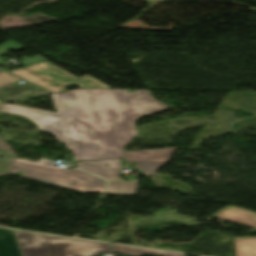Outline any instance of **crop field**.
Here are the masks:
<instances>
[{
  "label": "crop field",
  "instance_id": "11",
  "mask_svg": "<svg viewBox=\"0 0 256 256\" xmlns=\"http://www.w3.org/2000/svg\"><path fill=\"white\" fill-rule=\"evenodd\" d=\"M137 188V180L130 182H110L108 183V194H121V195H132L135 193Z\"/></svg>",
  "mask_w": 256,
  "mask_h": 256
},
{
  "label": "crop field",
  "instance_id": "14",
  "mask_svg": "<svg viewBox=\"0 0 256 256\" xmlns=\"http://www.w3.org/2000/svg\"><path fill=\"white\" fill-rule=\"evenodd\" d=\"M15 161H17V162H23V163H29V164H35V165H41V166H43V164H46L47 167H52V168H56V169H63V170H65L64 168L53 166V165H52V161H50V160H45V159H41V160L38 161V162H30V161L19 160V159H16Z\"/></svg>",
  "mask_w": 256,
  "mask_h": 256
},
{
  "label": "crop field",
  "instance_id": "13",
  "mask_svg": "<svg viewBox=\"0 0 256 256\" xmlns=\"http://www.w3.org/2000/svg\"><path fill=\"white\" fill-rule=\"evenodd\" d=\"M20 80L19 78L11 75L10 73L4 71V72H0V87L5 85V84H9L11 82ZM0 104H3V102H0Z\"/></svg>",
  "mask_w": 256,
  "mask_h": 256
},
{
  "label": "crop field",
  "instance_id": "15",
  "mask_svg": "<svg viewBox=\"0 0 256 256\" xmlns=\"http://www.w3.org/2000/svg\"><path fill=\"white\" fill-rule=\"evenodd\" d=\"M5 153H7V152L0 150V156H2Z\"/></svg>",
  "mask_w": 256,
  "mask_h": 256
},
{
  "label": "crop field",
  "instance_id": "9",
  "mask_svg": "<svg viewBox=\"0 0 256 256\" xmlns=\"http://www.w3.org/2000/svg\"><path fill=\"white\" fill-rule=\"evenodd\" d=\"M9 85H11L12 88L4 87L2 89L4 91L0 90V100L3 101L4 103H7V101L14 99L16 95L28 93V92H38L43 95L52 94L39 86H31L29 83L23 84L25 86L24 88H22L23 87L22 85H18L17 82H14ZM14 85H17V87H14Z\"/></svg>",
  "mask_w": 256,
  "mask_h": 256
},
{
  "label": "crop field",
  "instance_id": "3",
  "mask_svg": "<svg viewBox=\"0 0 256 256\" xmlns=\"http://www.w3.org/2000/svg\"><path fill=\"white\" fill-rule=\"evenodd\" d=\"M42 59L44 58L37 55L20 61V63L25 66ZM9 71L52 93L64 91L67 86L71 85H78L82 89H112L90 75L77 78L62 69H56L52 63L45 59L34 65Z\"/></svg>",
  "mask_w": 256,
  "mask_h": 256
},
{
  "label": "crop field",
  "instance_id": "10",
  "mask_svg": "<svg viewBox=\"0 0 256 256\" xmlns=\"http://www.w3.org/2000/svg\"><path fill=\"white\" fill-rule=\"evenodd\" d=\"M112 248H113V252L115 253H120V254H125L130 256H140L142 254L154 255V256H184L181 254L159 252V251L124 247V246H117V245H112Z\"/></svg>",
  "mask_w": 256,
  "mask_h": 256
},
{
  "label": "crop field",
  "instance_id": "16",
  "mask_svg": "<svg viewBox=\"0 0 256 256\" xmlns=\"http://www.w3.org/2000/svg\"><path fill=\"white\" fill-rule=\"evenodd\" d=\"M0 71H3V69L0 68Z\"/></svg>",
  "mask_w": 256,
  "mask_h": 256
},
{
  "label": "crop field",
  "instance_id": "7",
  "mask_svg": "<svg viewBox=\"0 0 256 256\" xmlns=\"http://www.w3.org/2000/svg\"><path fill=\"white\" fill-rule=\"evenodd\" d=\"M78 168L97 175L105 180H118L120 172V161L119 159H111L98 162H81L77 163ZM88 164V165H85ZM106 165H109L106 167Z\"/></svg>",
  "mask_w": 256,
  "mask_h": 256
},
{
  "label": "crop field",
  "instance_id": "8",
  "mask_svg": "<svg viewBox=\"0 0 256 256\" xmlns=\"http://www.w3.org/2000/svg\"><path fill=\"white\" fill-rule=\"evenodd\" d=\"M0 256H23L13 231L0 229Z\"/></svg>",
  "mask_w": 256,
  "mask_h": 256
},
{
  "label": "crop field",
  "instance_id": "1",
  "mask_svg": "<svg viewBox=\"0 0 256 256\" xmlns=\"http://www.w3.org/2000/svg\"><path fill=\"white\" fill-rule=\"evenodd\" d=\"M52 96L57 114L9 104L0 105V112L22 115L39 130L54 133L77 162L124 157L121 148L137 134L134 121L167 110L145 90H76Z\"/></svg>",
  "mask_w": 256,
  "mask_h": 256
},
{
  "label": "crop field",
  "instance_id": "6",
  "mask_svg": "<svg viewBox=\"0 0 256 256\" xmlns=\"http://www.w3.org/2000/svg\"><path fill=\"white\" fill-rule=\"evenodd\" d=\"M177 148L124 152L127 162H137L135 167L146 175H155L158 169L168 163Z\"/></svg>",
  "mask_w": 256,
  "mask_h": 256
},
{
  "label": "crop field",
  "instance_id": "12",
  "mask_svg": "<svg viewBox=\"0 0 256 256\" xmlns=\"http://www.w3.org/2000/svg\"><path fill=\"white\" fill-rule=\"evenodd\" d=\"M21 48H22V46L14 43L12 41L6 42V43L0 45V56L6 54L7 53L6 51L9 50V49L17 51V50H19ZM2 63H5V61L0 59V64H2Z\"/></svg>",
  "mask_w": 256,
  "mask_h": 256
},
{
  "label": "crop field",
  "instance_id": "4",
  "mask_svg": "<svg viewBox=\"0 0 256 256\" xmlns=\"http://www.w3.org/2000/svg\"><path fill=\"white\" fill-rule=\"evenodd\" d=\"M17 171L24 172V174L16 173ZM9 173L55 184L83 193H103L105 186L104 180L95 178L77 169L73 171H58L13 162Z\"/></svg>",
  "mask_w": 256,
  "mask_h": 256
},
{
  "label": "crop field",
  "instance_id": "5",
  "mask_svg": "<svg viewBox=\"0 0 256 256\" xmlns=\"http://www.w3.org/2000/svg\"><path fill=\"white\" fill-rule=\"evenodd\" d=\"M213 217L256 228V212L228 206ZM236 256H256V237H234Z\"/></svg>",
  "mask_w": 256,
  "mask_h": 256
},
{
  "label": "crop field",
  "instance_id": "2",
  "mask_svg": "<svg viewBox=\"0 0 256 256\" xmlns=\"http://www.w3.org/2000/svg\"><path fill=\"white\" fill-rule=\"evenodd\" d=\"M24 256H94L108 244L14 231Z\"/></svg>",
  "mask_w": 256,
  "mask_h": 256
}]
</instances>
